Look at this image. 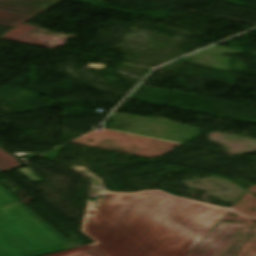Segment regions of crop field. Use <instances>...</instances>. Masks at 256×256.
I'll list each match as a JSON object with an SVG mask.
<instances>
[{"instance_id": "4", "label": "crop field", "mask_w": 256, "mask_h": 256, "mask_svg": "<svg viewBox=\"0 0 256 256\" xmlns=\"http://www.w3.org/2000/svg\"><path fill=\"white\" fill-rule=\"evenodd\" d=\"M22 166L19 162L5 153L3 150L0 149V171H6L12 168H16Z\"/></svg>"}, {"instance_id": "3", "label": "crop field", "mask_w": 256, "mask_h": 256, "mask_svg": "<svg viewBox=\"0 0 256 256\" xmlns=\"http://www.w3.org/2000/svg\"><path fill=\"white\" fill-rule=\"evenodd\" d=\"M70 247H74V245L71 244L70 242H67V243H63V244H59V245H55V246L27 252V253L15 255V256H39V255L47 254L50 252H54V251H58V250H62V249L70 248Z\"/></svg>"}, {"instance_id": "2", "label": "crop field", "mask_w": 256, "mask_h": 256, "mask_svg": "<svg viewBox=\"0 0 256 256\" xmlns=\"http://www.w3.org/2000/svg\"><path fill=\"white\" fill-rule=\"evenodd\" d=\"M0 191L11 199L0 192V256H11L68 241L1 186Z\"/></svg>"}, {"instance_id": "1", "label": "crop field", "mask_w": 256, "mask_h": 256, "mask_svg": "<svg viewBox=\"0 0 256 256\" xmlns=\"http://www.w3.org/2000/svg\"><path fill=\"white\" fill-rule=\"evenodd\" d=\"M226 212L159 193L120 195L86 232L99 244L53 256H185Z\"/></svg>"}]
</instances>
